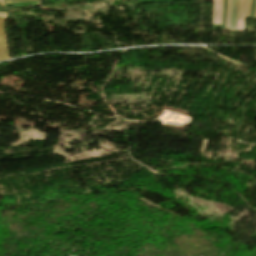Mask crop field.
<instances>
[{
  "instance_id": "8a807250",
  "label": "crop field",
  "mask_w": 256,
  "mask_h": 256,
  "mask_svg": "<svg viewBox=\"0 0 256 256\" xmlns=\"http://www.w3.org/2000/svg\"><path fill=\"white\" fill-rule=\"evenodd\" d=\"M9 59L5 38V20L0 19V60Z\"/></svg>"
},
{
  "instance_id": "ac0d7876",
  "label": "crop field",
  "mask_w": 256,
  "mask_h": 256,
  "mask_svg": "<svg viewBox=\"0 0 256 256\" xmlns=\"http://www.w3.org/2000/svg\"><path fill=\"white\" fill-rule=\"evenodd\" d=\"M223 0H213V25H221Z\"/></svg>"
},
{
  "instance_id": "34b2d1b8",
  "label": "crop field",
  "mask_w": 256,
  "mask_h": 256,
  "mask_svg": "<svg viewBox=\"0 0 256 256\" xmlns=\"http://www.w3.org/2000/svg\"><path fill=\"white\" fill-rule=\"evenodd\" d=\"M246 8H247V0H240L239 1L238 24H237L236 31L244 32Z\"/></svg>"
},
{
  "instance_id": "412701ff",
  "label": "crop field",
  "mask_w": 256,
  "mask_h": 256,
  "mask_svg": "<svg viewBox=\"0 0 256 256\" xmlns=\"http://www.w3.org/2000/svg\"><path fill=\"white\" fill-rule=\"evenodd\" d=\"M237 9H238V0H231L229 31L236 30Z\"/></svg>"
},
{
  "instance_id": "f4fd0767",
  "label": "crop field",
  "mask_w": 256,
  "mask_h": 256,
  "mask_svg": "<svg viewBox=\"0 0 256 256\" xmlns=\"http://www.w3.org/2000/svg\"><path fill=\"white\" fill-rule=\"evenodd\" d=\"M229 11H230V0H227L226 28H228V23H229Z\"/></svg>"
},
{
  "instance_id": "dd49c442",
  "label": "crop field",
  "mask_w": 256,
  "mask_h": 256,
  "mask_svg": "<svg viewBox=\"0 0 256 256\" xmlns=\"http://www.w3.org/2000/svg\"><path fill=\"white\" fill-rule=\"evenodd\" d=\"M6 3H17V2H27L32 0H5ZM33 1H39V0H33Z\"/></svg>"
},
{
  "instance_id": "e52e79f7",
  "label": "crop field",
  "mask_w": 256,
  "mask_h": 256,
  "mask_svg": "<svg viewBox=\"0 0 256 256\" xmlns=\"http://www.w3.org/2000/svg\"><path fill=\"white\" fill-rule=\"evenodd\" d=\"M250 7H251V0H248V8H247V15H246V18H249V15H250Z\"/></svg>"
},
{
  "instance_id": "d8731c3e",
  "label": "crop field",
  "mask_w": 256,
  "mask_h": 256,
  "mask_svg": "<svg viewBox=\"0 0 256 256\" xmlns=\"http://www.w3.org/2000/svg\"><path fill=\"white\" fill-rule=\"evenodd\" d=\"M8 13H0V17L6 18Z\"/></svg>"
},
{
  "instance_id": "5a996713",
  "label": "crop field",
  "mask_w": 256,
  "mask_h": 256,
  "mask_svg": "<svg viewBox=\"0 0 256 256\" xmlns=\"http://www.w3.org/2000/svg\"><path fill=\"white\" fill-rule=\"evenodd\" d=\"M0 2H1V5H2V6H4V5H5L4 0H0Z\"/></svg>"
}]
</instances>
